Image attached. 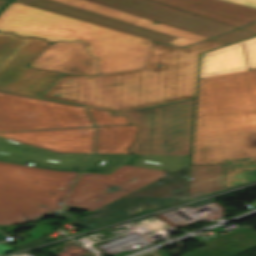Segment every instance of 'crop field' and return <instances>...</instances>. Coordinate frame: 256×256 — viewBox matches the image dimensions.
I'll return each mask as SVG.
<instances>
[{
    "label": "crop field",
    "instance_id": "crop-field-18",
    "mask_svg": "<svg viewBox=\"0 0 256 256\" xmlns=\"http://www.w3.org/2000/svg\"><path fill=\"white\" fill-rule=\"evenodd\" d=\"M189 177L186 199L223 189V164L190 165Z\"/></svg>",
    "mask_w": 256,
    "mask_h": 256
},
{
    "label": "crop field",
    "instance_id": "crop-field-13",
    "mask_svg": "<svg viewBox=\"0 0 256 256\" xmlns=\"http://www.w3.org/2000/svg\"><path fill=\"white\" fill-rule=\"evenodd\" d=\"M86 46L79 41L50 44L30 66L73 75H98L97 58L88 54Z\"/></svg>",
    "mask_w": 256,
    "mask_h": 256
},
{
    "label": "crop field",
    "instance_id": "crop-field-24",
    "mask_svg": "<svg viewBox=\"0 0 256 256\" xmlns=\"http://www.w3.org/2000/svg\"><path fill=\"white\" fill-rule=\"evenodd\" d=\"M129 156L131 155H95L83 171L109 173L126 161Z\"/></svg>",
    "mask_w": 256,
    "mask_h": 256
},
{
    "label": "crop field",
    "instance_id": "crop-field-25",
    "mask_svg": "<svg viewBox=\"0 0 256 256\" xmlns=\"http://www.w3.org/2000/svg\"><path fill=\"white\" fill-rule=\"evenodd\" d=\"M96 126L127 124L126 117H114L110 112L87 107Z\"/></svg>",
    "mask_w": 256,
    "mask_h": 256
},
{
    "label": "crop field",
    "instance_id": "crop-field-32",
    "mask_svg": "<svg viewBox=\"0 0 256 256\" xmlns=\"http://www.w3.org/2000/svg\"><path fill=\"white\" fill-rule=\"evenodd\" d=\"M225 1H230L238 4L256 7V0H225Z\"/></svg>",
    "mask_w": 256,
    "mask_h": 256
},
{
    "label": "crop field",
    "instance_id": "crop-field-8",
    "mask_svg": "<svg viewBox=\"0 0 256 256\" xmlns=\"http://www.w3.org/2000/svg\"><path fill=\"white\" fill-rule=\"evenodd\" d=\"M256 113V69L199 79L196 116Z\"/></svg>",
    "mask_w": 256,
    "mask_h": 256
},
{
    "label": "crop field",
    "instance_id": "crop-field-6",
    "mask_svg": "<svg viewBox=\"0 0 256 256\" xmlns=\"http://www.w3.org/2000/svg\"><path fill=\"white\" fill-rule=\"evenodd\" d=\"M48 45L45 39L0 32V91L39 98L62 74L25 65Z\"/></svg>",
    "mask_w": 256,
    "mask_h": 256
},
{
    "label": "crop field",
    "instance_id": "crop-field-27",
    "mask_svg": "<svg viewBox=\"0 0 256 256\" xmlns=\"http://www.w3.org/2000/svg\"><path fill=\"white\" fill-rule=\"evenodd\" d=\"M253 35H256V34L237 29L235 31H232L230 33L221 35V36L213 38V39H217V40H220V41H223V42L231 43V42H235V41H239V40L248 38V37L253 36Z\"/></svg>",
    "mask_w": 256,
    "mask_h": 256
},
{
    "label": "crop field",
    "instance_id": "crop-field-3",
    "mask_svg": "<svg viewBox=\"0 0 256 256\" xmlns=\"http://www.w3.org/2000/svg\"><path fill=\"white\" fill-rule=\"evenodd\" d=\"M77 174L0 162V225L26 223L58 209Z\"/></svg>",
    "mask_w": 256,
    "mask_h": 256
},
{
    "label": "crop field",
    "instance_id": "crop-field-11",
    "mask_svg": "<svg viewBox=\"0 0 256 256\" xmlns=\"http://www.w3.org/2000/svg\"><path fill=\"white\" fill-rule=\"evenodd\" d=\"M132 14L156 20L208 37L216 36L236 27L165 6L150 0H90Z\"/></svg>",
    "mask_w": 256,
    "mask_h": 256
},
{
    "label": "crop field",
    "instance_id": "crop-field-2",
    "mask_svg": "<svg viewBox=\"0 0 256 256\" xmlns=\"http://www.w3.org/2000/svg\"><path fill=\"white\" fill-rule=\"evenodd\" d=\"M0 30L20 36L35 35L56 40H81L97 61L102 73L142 68L152 41L87 21L12 2L0 14Z\"/></svg>",
    "mask_w": 256,
    "mask_h": 256
},
{
    "label": "crop field",
    "instance_id": "crop-field-16",
    "mask_svg": "<svg viewBox=\"0 0 256 256\" xmlns=\"http://www.w3.org/2000/svg\"><path fill=\"white\" fill-rule=\"evenodd\" d=\"M14 2H18V3L33 6L36 8H40V9L68 15L71 17L87 20V21H90L95 24L110 27V28H113L116 30H120V31H123L126 33H130V34H133L136 36H140V37L154 40V41L161 42V43L168 44L176 38V37H172V36H169L166 34L148 30V29H145L142 27L124 23L121 21H117V20H114L111 18L93 14V13H90L87 11L69 7V6L59 4V3L49 1V0H14Z\"/></svg>",
    "mask_w": 256,
    "mask_h": 256
},
{
    "label": "crop field",
    "instance_id": "crop-field-37",
    "mask_svg": "<svg viewBox=\"0 0 256 256\" xmlns=\"http://www.w3.org/2000/svg\"><path fill=\"white\" fill-rule=\"evenodd\" d=\"M7 0H0V7L6 2Z\"/></svg>",
    "mask_w": 256,
    "mask_h": 256
},
{
    "label": "crop field",
    "instance_id": "crop-field-21",
    "mask_svg": "<svg viewBox=\"0 0 256 256\" xmlns=\"http://www.w3.org/2000/svg\"><path fill=\"white\" fill-rule=\"evenodd\" d=\"M221 163H224L225 188L235 182L243 183L256 179V160L221 161ZM250 165H255V167L250 168ZM247 172H251V174L246 175Z\"/></svg>",
    "mask_w": 256,
    "mask_h": 256
},
{
    "label": "crop field",
    "instance_id": "crop-field-19",
    "mask_svg": "<svg viewBox=\"0 0 256 256\" xmlns=\"http://www.w3.org/2000/svg\"><path fill=\"white\" fill-rule=\"evenodd\" d=\"M138 127H98L95 153H129L127 148L134 141Z\"/></svg>",
    "mask_w": 256,
    "mask_h": 256
},
{
    "label": "crop field",
    "instance_id": "crop-field-36",
    "mask_svg": "<svg viewBox=\"0 0 256 256\" xmlns=\"http://www.w3.org/2000/svg\"><path fill=\"white\" fill-rule=\"evenodd\" d=\"M11 249H13V248H9V247H6V246L0 244V254H3Z\"/></svg>",
    "mask_w": 256,
    "mask_h": 256
},
{
    "label": "crop field",
    "instance_id": "crop-field-17",
    "mask_svg": "<svg viewBox=\"0 0 256 256\" xmlns=\"http://www.w3.org/2000/svg\"><path fill=\"white\" fill-rule=\"evenodd\" d=\"M242 42L202 54L199 78L247 70Z\"/></svg>",
    "mask_w": 256,
    "mask_h": 256
},
{
    "label": "crop field",
    "instance_id": "crop-field-20",
    "mask_svg": "<svg viewBox=\"0 0 256 256\" xmlns=\"http://www.w3.org/2000/svg\"><path fill=\"white\" fill-rule=\"evenodd\" d=\"M189 156L133 155L125 164L175 171L188 165Z\"/></svg>",
    "mask_w": 256,
    "mask_h": 256
},
{
    "label": "crop field",
    "instance_id": "crop-field-34",
    "mask_svg": "<svg viewBox=\"0 0 256 256\" xmlns=\"http://www.w3.org/2000/svg\"><path fill=\"white\" fill-rule=\"evenodd\" d=\"M15 229H17V226H0V231H3L7 234H10Z\"/></svg>",
    "mask_w": 256,
    "mask_h": 256
},
{
    "label": "crop field",
    "instance_id": "crop-field-35",
    "mask_svg": "<svg viewBox=\"0 0 256 256\" xmlns=\"http://www.w3.org/2000/svg\"><path fill=\"white\" fill-rule=\"evenodd\" d=\"M240 29L256 33V22L255 23H251L249 25H246V26H244V27H242Z\"/></svg>",
    "mask_w": 256,
    "mask_h": 256
},
{
    "label": "crop field",
    "instance_id": "crop-field-22",
    "mask_svg": "<svg viewBox=\"0 0 256 256\" xmlns=\"http://www.w3.org/2000/svg\"><path fill=\"white\" fill-rule=\"evenodd\" d=\"M59 3L70 5L76 8L94 12L100 15L118 19L124 22L131 23L139 16L132 15L123 11H119L113 8H109L100 4H96L87 0H53Z\"/></svg>",
    "mask_w": 256,
    "mask_h": 256
},
{
    "label": "crop field",
    "instance_id": "crop-field-38",
    "mask_svg": "<svg viewBox=\"0 0 256 256\" xmlns=\"http://www.w3.org/2000/svg\"><path fill=\"white\" fill-rule=\"evenodd\" d=\"M3 237H4V235H1V234H0V240H1Z\"/></svg>",
    "mask_w": 256,
    "mask_h": 256
},
{
    "label": "crop field",
    "instance_id": "crop-field-30",
    "mask_svg": "<svg viewBox=\"0 0 256 256\" xmlns=\"http://www.w3.org/2000/svg\"><path fill=\"white\" fill-rule=\"evenodd\" d=\"M198 44H202V45H206V46H209V47L216 48V47L225 45L227 43H223V42H220V41H217V40L210 39V40L198 43Z\"/></svg>",
    "mask_w": 256,
    "mask_h": 256
},
{
    "label": "crop field",
    "instance_id": "crop-field-26",
    "mask_svg": "<svg viewBox=\"0 0 256 256\" xmlns=\"http://www.w3.org/2000/svg\"><path fill=\"white\" fill-rule=\"evenodd\" d=\"M242 42L248 60L249 68H256V37L243 40Z\"/></svg>",
    "mask_w": 256,
    "mask_h": 256
},
{
    "label": "crop field",
    "instance_id": "crop-field-28",
    "mask_svg": "<svg viewBox=\"0 0 256 256\" xmlns=\"http://www.w3.org/2000/svg\"><path fill=\"white\" fill-rule=\"evenodd\" d=\"M89 184L94 185V186H98V187H101V188L113 190V191H116V192L124 193V194H128V193L135 190V189L127 188V187H124V186H120V185L113 184V183L106 182V181L99 180V179H93L89 182Z\"/></svg>",
    "mask_w": 256,
    "mask_h": 256
},
{
    "label": "crop field",
    "instance_id": "crop-field-4",
    "mask_svg": "<svg viewBox=\"0 0 256 256\" xmlns=\"http://www.w3.org/2000/svg\"><path fill=\"white\" fill-rule=\"evenodd\" d=\"M194 102L195 98L113 115H127L130 124L140 126L138 137L129 151L135 154L189 155Z\"/></svg>",
    "mask_w": 256,
    "mask_h": 256
},
{
    "label": "crop field",
    "instance_id": "crop-field-15",
    "mask_svg": "<svg viewBox=\"0 0 256 256\" xmlns=\"http://www.w3.org/2000/svg\"><path fill=\"white\" fill-rule=\"evenodd\" d=\"M178 9L240 27L256 20V8L221 0H154Z\"/></svg>",
    "mask_w": 256,
    "mask_h": 256
},
{
    "label": "crop field",
    "instance_id": "crop-field-14",
    "mask_svg": "<svg viewBox=\"0 0 256 256\" xmlns=\"http://www.w3.org/2000/svg\"><path fill=\"white\" fill-rule=\"evenodd\" d=\"M91 155L54 154L49 151L0 138V161L49 168L80 171Z\"/></svg>",
    "mask_w": 256,
    "mask_h": 256
},
{
    "label": "crop field",
    "instance_id": "crop-field-33",
    "mask_svg": "<svg viewBox=\"0 0 256 256\" xmlns=\"http://www.w3.org/2000/svg\"><path fill=\"white\" fill-rule=\"evenodd\" d=\"M191 43H193V42H189V41L177 38L173 42H171L170 44L176 45V46H185V45H188V44H191Z\"/></svg>",
    "mask_w": 256,
    "mask_h": 256
},
{
    "label": "crop field",
    "instance_id": "crop-field-31",
    "mask_svg": "<svg viewBox=\"0 0 256 256\" xmlns=\"http://www.w3.org/2000/svg\"><path fill=\"white\" fill-rule=\"evenodd\" d=\"M185 49L201 53V52L213 49V48H209V47H205V46H202V45L195 44V45H191L189 47H186Z\"/></svg>",
    "mask_w": 256,
    "mask_h": 256
},
{
    "label": "crop field",
    "instance_id": "crop-field-1",
    "mask_svg": "<svg viewBox=\"0 0 256 256\" xmlns=\"http://www.w3.org/2000/svg\"><path fill=\"white\" fill-rule=\"evenodd\" d=\"M198 67V53L153 42L143 69L63 74L40 98L111 113L193 98Z\"/></svg>",
    "mask_w": 256,
    "mask_h": 256
},
{
    "label": "crop field",
    "instance_id": "crop-field-9",
    "mask_svg": "<svg viewBox=\"0 0 256 256\" xmlns=\"http://www.w3.org/2000/svg\"><path fill=\"white\" fill-rule=\"evenodd\" d=\"M186 171L187 166L71 223L89 230L128 219V210L144 203L161 208L182 202L185 191V177L182 175H186ZM159 181L163 184H158ZM174 189L179 190L172 192Z\"/></svg>",
    "mask_w": 256,
    "mask_h": 256
},
{
    "label": "crop field",
    "instance_id": "crop-field-7",
    "mask_svg": "<svg viewBox=\"0 0 256 256\" xmlns=\"http://www.w3.org/2000/svg\"><path fill=\"white\" fill-rule=\"evenodd\" d=\"M93 126L84 107L0 92V131Z\"/></svg>",
    "mask_w": 256,
    "mask_h": 256
},
{
    "label": "crop field",
    "instance_id": "crop-field-10",
    "mask_svg": "<svg viewBox=\"0 0 256 256\" xmlns=\"http://www.w3.org/2000/svg\"><path fill=\"white\" fill-rule=\"evenodd\" d=\"M170 173L154 169L123 165L109 174L82 172L64 205H71L92 211L124 194L87 185L92 178H99L131 188H139L163 175ZM136 178L135 181H131Z\"/></svg>",
    "mask_w": 256,
    "mask_h": 256
},
{
    "label": "crop field",
    "instance_id": "crop-field-23",
    "mask_svg": "<svg viewBox=\"0 0 256 256\" xmlns=\"http://www.w3.org/2000/svg\"><path fill=\"white\" fill-rule=\"evenodd\" d=\"M152 22H153V20H149V19H146V18L139 17L134 22H132V24H136V25H139V26H142V27H146V28H149V29H152V30H156V31H159V32H162V33H166V34L176 36V37H179V38H183V39L193 41V42L205 40V39L208 38V37L201 36V35H198V34H195V33H192V32H188V31H185V30H182V29L171 27V26H168V25H165V24H161V23L153 24Z\"/></svg>",
    "mask_w": 256,
    "mask_h": 256
},
{
    "label": "crop field",
    "instance_id": "crop-field-5",
    "mask_svg": "<svg viewBox=\"0 0 256 256\" xmlns=\"http://www.w3.org/2000/svg\"><path fill=\"white\" fill-rule=\"evenodd\" d=\"M256 159V114L196 117L191 164Z\"/></svg>",
    "mask_w": 256,
    "mask_h": 256
},
{
    "label": "crop field",
    "instance_id": "crop-field-29",
    "mask_svg": "<svg viewBox=\"0 0 256 256\" xmlns=\"http://www.w3.org/2000/svg\"><path fill=\"white\" fill-rule=\"evenodd\" d=\"M47 241H48L47 238L41 236V237H39V238H37V239L27 243V244L15 249V250H19V249H22V248H26V247L33 246V245H36V244H40V243L47 242ZM15 250H13V251H15Z\"/></svg>",
    "mask_w": 256,
    "mask_h": 256
},
{
    "label": "crop field",
    "instance_id": "crop-field-12",
    "mask_svg": "<svg viewBox=\"0 0 256 256\" xmlns=\"http://www.w3.org/2000/svg\"><path fill=\"white\" fill-rule=\"evenodd\" d=\"M94 127L79 129L7 132L0 137L58 153H92Z\"/></svg>",
    "mask_w": 256,
    "mask_h": 256
}]
</instances>
